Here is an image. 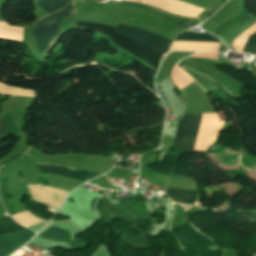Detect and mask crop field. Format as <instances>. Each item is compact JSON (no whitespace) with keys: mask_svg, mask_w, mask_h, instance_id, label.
<instances>
[{"mask_svg":"<svg viewBox=\"0 0 256 256\" xmlns=\"http://www.w3.org/2000/svg\"><path fill=\"white\" fill-rule=\"evenodd\" d=\"M69 3H70L69 1H65V0H41L37 3V5L43 7L48 12L52 13Z\"/></svg>","mask_w":256,"mask_h":256,"instance_id":"3316defc","label":"crop field"},{"mask_svg":"<svg viewBox=\"0 0 256 256\" xmlns=\"http://www.w3.org/2000/svg\"><path fill=\"white\" fill-rule=\"evenodd\" d=\"M2 129H3V123L0 122V134L2 132ZM3 133V132H2Z\"/></svg>","mask_w":256,"mask_h":256,"instance_id":"d1516ede","label":"crop field"},{"mask_svg":"<svg viewBox=\"0 0 256 256\" xmlns=\"http://www.w3.org/2000/svg\"><path fill=\"white\" fill-rule=\"evenodd\" d=\"M28 211V210H27ZM29 212V211H28ZM33 216V215H32ZM34 217V216H33ZM36 218V217H35ZM38 219V218H37ZM42 220V219H41ZM47 221V220H46Z\"/></svg>","mask_w":256,"mask_h":256,"instance_id":"22f410ed","label":"crop field"},{"mask_svg":"<svg viewBox=\"0 0 256 256\" xmlns=\"http://www.w3.org/2000/svg\"><path fill=\"white\" fill-rule=\"evenodd\" d=\"M25 229L17 225L9 216L0 218V234L12 233Z\"/></svg>","mask_w":256,"mask_h":256,"instance_id":"5a996713","label":"crop field"},{"mask_svg":"<svg viewBox=\"0 0 256 256\" xmlns=\"http://www.w3.org/2000/svg\"><path fill=\"white\" fill-rule=\"evenodd\" d=\"M73 7L71 3L64 9L38 21L34 28V34L40 53H47L50 50L60 35L58 24L61 18L73 14L70 9Z\"/></svg>","mask_w":256,"mask_h":256,"instance_id":"ac0d7876","label":"crop field"},{"mask_svg":"<svg viewBox=\"0 0 256 256\" xmlns=\"http://www.w3.org/2000/svg\"><path fill=\"white\" fill-rule=\"evenodd\" d=\"M202 114L184 115L179 121L173 149L191 151L194 148Z\"/></svg>","mask_w":256,"mask_h":256,"instance_id":"34b2d1b8","label":"crop field"},{"mask_svg":"<svg viewBox=\"0 0 256 256\" xmlns=\"http://www.w3.org/2000/svg\"><path fill=\"white\" fill-rule=\"evenodd\" d=\"M39 236L49 238L54 241H68L69 240V232L66 230L57 228V227H51Z\"/></svg>","mask_w":256,"mask_h":256,"instance_id":"d8731c3e","label":"crop field"},{"mask_svg":"<svg viewBox=\"0 0 256 256\" xmlns=\"http://www.w3.org/2000/svg\"><path fill=\"white\" fill-rule=\"evenodd\" d=\"M36 164H37V167H38L40 173L58 175V176L71 178V179H75V180H79V181H83V182H87V181L102 174V173L84 170V169L75 168V167H70V166L42 164V163H36ZM28 191H29V189H28ZM29 194H30V191H29ZM30 197H31V195H30ZM49 208L53 209L50 206H49ZM51 209H49V210L54 212L55 214L57 213V212H55L57 210L53 209V210H55V211H53Z\"/></svg>","mask_w":256,"mask_h":256,"instance_id":"412701ff","label":"crop field"},{"mask_svg":"<svg viewBox=\"0 0 256 256\" xmlns=\"http://www.w3.org/2000/svg\"><path fill=\"white\" fill-rule=\"evenodd\" d=\"M244 52L256 54V33L251 35L249 41L243 49Z\"/></svg>","mask_w":256,"mask_h":256,"instance_id":"28ad6ade","label":"crop field"},{"mask_svg":"<svg viewBox=\"0 0 256 256\" xmlns=\"http://www.w3.org/2000/svg\"><path fill=\"white\" fill-rule=\"evenodd\" d=\"M35 234L27 229L7 235H0V256H9Z\"/></svg>","mask_w":256,"mask_h":256,"instance_id":"f4fd0767","label":"crop field"},{"mask_svg":"<svg viewBox=\"0 0 256 256\" xmlns=\"http://www.w3.org/2000/svg\"><path fill=\"white\" fill-rule=\"evenodd\" d=\"M165 195H167L171 201L178 204L194 205L197 199V195H194L192 191L188 190L167 188Z\"/></svg>","mask_w":256,"mask_h":256,"instance_id":"dd49c442","label":"crop field"},{"mask_svg":"<svg viewBox=\"0 0 256 256\" xmlns=\"http://www.w3.org/2000/svg\"><path fill=\"white\" fill-rule=\"evenodd\" d=\"M175 40L220 42L212 35L193 32H182L176 36Z\"/></svg>","mask_w":256,"mask_h":256,"instance_id":"e52e79f7","label":"crop field"},{"mask_svg":"<svg viewBox=\"0 0 256 256\" xmlns=\"http://www.w3.org/2000/svg\"><path fill=\"white\" fill-rule=\"evenodd\" d=\"M76 27L91 28L100 31L101 33L108 36L109 39L116 46L146 61L153 67L156 61L159 60L160 57L162 56V53H165L168 50L172 42L168 39L160 37L146 30L136 29L129 26L118 24L116 31L162 52L160 53L148 46H145L133 39H130L114 31L115 28L113 27L87 22H76Z\"/></svg>","mask_w":256,"mask_h":256,"instance_id":"8a807250","label":"crop field"}]
</instances>
